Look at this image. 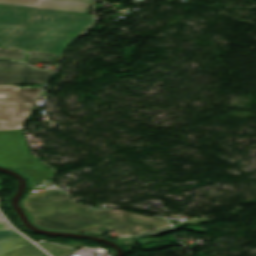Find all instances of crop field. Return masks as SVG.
Here are the masks:
<instances>
[{
    "label": "crop field",
    "mask_w": 256,
    "mask_h": 256,
    "mask_svg": "<svg viewBox=\"0 0 256 256\" xmlns=\"http://www.w3.org/2000/svg\"><path fill=\"white\" fill-rule=\"evenodd\" d=\"M22 206L34 225L42 229L79 232L99 226L127 235L169 225L161 217L123 210L91 211L60 192L28 194Z\"/></svg>",
    "instance_id": "1"
},
{
    "label": "crop field",
    "mask_w": 256,
    "mask_h": 256,
    "mask_svg": "<svg viewBox=\"0 0 256 256\" xmlns=\"http://www.w3.org/2000/svg\"><path fill=\"white\" fill-rule=\"evenodd\" d=\"M93 23L90 14L0 6V48L62 53Z\"/></svg>",
    "instance_id": "2"
},
{
    "label": "crop field",
    "mask_w": 256,
    "mask_h": 256,
    "mask_svg": "<svg viewBox=\"0 0 256 256\" xmlns=\"http://www.w3.org/2000/svg\"><path fill=\"white\" fill-rule=\"evenodd\" d=\"M40 92L41 88L0 85V130L22 129Z\"/></svg>",
    "instance_id": "3"
},
{
    "label": "crop field",
    "mask_w": 256,
    "mask_h": 256,
    "mask_svg": "<svg viewBox=\"0 0 256 256\" xmlns=\"http://www.w3.org/2000/svg\"><path fill=\"white\" fill-rule=\"evenodd\" d=\"M0 165L46 168L40 160L31 156L22 130L0 131Z\"/></svg>",
    "instance_id": "4"
},
{
    "label": "crop field",
    "mask_w": 256,
    "mask_h": 256,
    "mask_svg": "<svg viewBox=\"0 0 256 256\" xmlns=\"http://www.w3.org/2000/svg\"><path fill=\"white\" fill-rule=\"evenodd\" d=\"M53 74L20 63L0 62V84H45Z\"/></svg>",
    "instance_id": "5"
},
{
    "label": "crop field",
    "mask_w": 256,
    "mask_h": 256,
    "mask_svg": "<svg viewBox=\"0 0 256 256\" xmlns=\"http://www.w3.org/2000/svg\"><path fill=\"white\" fill-rule=\"evenodd\" d=\"M0 5L87 13L91 0H0Z\"/></svg>",
    "instance_id": "6"
},
{
    "label": "crop field",
    "mask_w": 256,
    "mask_h": 256,
    "mask_svg": "<svg viewBox=\"0 0 256 256\" xmlns=\"http://www.w3.org/2000/svg\"><path fill=\"white\" fill-rule=\"evenodd\" d=\"M0 256H47L17 234L0 239Z\"/></svg>",
    "instance_id": "7"
},
{
    "label": "crop field",
    "mask_w": 256,
    "mask_h": 256,
    "mask_svg": "<svg viewBox=\"0 0 256 256\" xmlns=\"http://www.w3.org/2000/svg\"><path fill=\"white\" fill-rule=\"evenodd\" d=\"M59 54L54 53H43V52H32L27 51V63H42V62H32L30 59L44 60V62H56Z\"/></svg>",
    "instance_id": "8"
},
{
    "label": "crop field",
    "mask_w": 256,
    "mask_h": 256,
    "mask_svg": "<svg viewBox=\"0 0 256 256\" xmlns=\"http://www.w3.org/2000/svg\"><path fill=\"white\" fill-rule=\"evenodd\" d=\"M18 171L29 176L30 179L53 177L54 173L51 169H19Z\"/></svg>",
    "instance_id": "9"
},
{
    "label": "crop field",
    "mask_w": 256,
    "mask_h": 256,
    "mask_svg": "<svg viewBox=\"0 0 256 256\" xmlns=\"http://www.w3.org/2000/svg\"><path fill=\"white\" fill-rule=\"evenodd\" d=\"M0 57L7 59H23L24 51L0 49Z\"/></svg>",
    "instance_id": "10"
},
{
    "label": "crop field",
    "mask_w": 256,
    "mask_h": 256,
    "mask_svg": "<svg viewBox=\"0 0 256 256\" xmlns=\"http://www.w3.org/2000/svg\"><path fill=\"white\" fill-rule=\"evenodd\" d=\"M12 234H15V232L12 229L1 230L0 231V238L6 237V236H9V235H12Z\"/></svg>",
    "instance_id": "11"
},
{
    "label": "crop field",
    "mask_w": 256,
    "mask_h": 256,
    "mask_svg": "<svg viewBox=\"0 0 256 256\" xmlns=\"http://www.w3.org/2000/svg\"><path fill=\"white\" fill-rule=\"evenodd\" d=\"M10 228L4 221H0V229H8Z\"/></svg>",
    "instance_id": "12"
},
{
    "label": "crop field",
    "mask_w": 256,
    "mask_h": 256,
    "mask_svg": "<svg viewBox=\"0 0 256 256\" xmlns=\"http://www.w3.org/2000/svg\"><path fill=\"white\" fill-rule=\"evenodd\" d=\"M0 219H2L1 216H0Z\"/></svg>",
    "instance_id": "13"
}]
</instances>
